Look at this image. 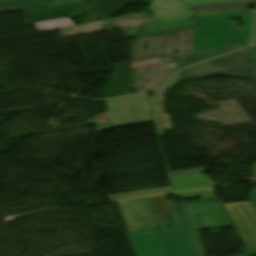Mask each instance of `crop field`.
<instances>
[{"instance_id": "1", "label": "crop field", "mask_w": 256, "mask_h": 256, "mask_svg": "<svg viewBox=\"0 0 256 256\" xmlns=\"http://www.w3.org/2000/svg\"><path fill=\"white\" fill-rule=\"evenodd\" d=\"M178 206L183 225L126 233L136 256H198L183 230L231 226L219 201Z\"/></svg>"}, {"instance_id": "2", "label": "crop field", "mask_w": 256, "mask_h": 256, "mask_svg": "<svg viewBox=\"0 0 256 256\" xmlns=\"http://www.w3.org/2000/svg\"><path fill=\"white\" fill-rule=\"evenodd\" d=\"M230 18H243L235 28ZM203 27L194 29L193 52L249 43L252 11L198 17Z\"/></svg>"}, {"instance_id": "3", "label": "crop field", "mask_w": 256, "mask_h": 256, "mask_svg": "<svg viewBox=\"0 0 256 256\" xmlns=\"http://www.w3.org/2000/svg\"><path fill=\"white\" fill-rule=\"evenodd\" d=\"M192 40L193 29L135 38L132 41L131 62L190 53ZM147 41L148 47L144 50Z\"/></svg>"}, {"instance_id": "4", "label": "crop field", "mask_w": 256, "mask_h": 256, "mask_svg": "<svg viewBox=\"0 0 256 256\" xmlns=\"http://www.w3.org/2000/svg\"><path fill=\"white\" fill-rule=\"evenodd\" d=\"M224 74L233 77H248L253 74V49L239 51L213 61L186 69L177 75L183 79Z\"/></svg>"}, {"instance_id": "5", "label": "crop field", "mask_w": 256, "mask_h": 256, "mask_svg": "<svg viewBox=\"0 0 256 256\" xmlns=\"http://www.w3.org/2000/svg\"><path fill=\"white\" fill-rule=\"evenodd\" d=\"M149 94L107 101L111 121L101 130L151 122L152 116L147 98Z\"/></svg>"}, {"instance_id": "6", "label": "crop field", "mask_w": 256, "mask_h": 256, "mask_svg": "<svg viewBox=\"0 0 256 256\" xmlns=\"http://www.w3.org/2000/svg\"><path fill=\"white\" fill-rule=\"evenodd\" d=\"M128 232L157 228L144 198L118 202Z\"/></svg>"}, {"instance_id": "7", "label": "crop field", "mask_w": 256, "mask_h": 256, "mask_svg": "<svg viewBox=\"0 0 256 256\" xmlns=\"http://www.w3.org/2000/svg\"><path fill=\"white\" fill-rule=\"evenodd\" d=\"M149 8L157 22L194 16L185 0H153Z\"/></svg>"}, {"instance_id": "8", "label": "crop field", "mask_w": 256, "mask_h": 256, "mask_svg": "<svg viewBox=\"0 0 256 256\" xmlns=\"http://www.w3.org/2000/svg\"><path fill=\"white\" fill-rule=\"evenodd\" d=\"M158 228L178 225L179 219L174 202H168L167 196L145 198ZM169 214L173 224L170 223Z\"/></svg>"}, {"instance_id": "9", "label": "crop field", "mask_w": 256, "mask_h": 256, "mask_svg": "<svg viewBox=\"0 0 256 256\" xmlns=\"http://www.w3.org/2000/svg\"><path fill=\"white\" fill-rule=\"evenodd\" d=\"M255 3L254 0H238L217 3L189 5L195 16L248 11Z\"/></svg>"}, {"instance_id": "10", "label": "crop field", "mask_w": 256, "mask_h": 256, "mask_svg": "<svg viewBox=\"0 0 256 256\" xmlns=\"http://www.w3.org/2000/svg\"><path fill=\"white\" fill-rule=\"evenodd\" d=\"M179 81L180 79L174 78L164 88H162L158 93L149 99L159 137H165L163 130L172 129L169 114L163 113V94L166 90L171 89Z\"/></svg>"}, {"instance_id": "11", "label": "crop field", "mask_w": 256, "mask_h": 256, "mask_svg": "<svg viewBox=\"0 0 256 256\" xmlns=\"http://www.w3.org/2000/svg\"><path fill=\"white\" fill-rule=\"evenodd\" d=\"M195 26H200V25L198 24V22L195 20L194 17L185 18V19H179V20H173V21H167V22H161V23L143 25L140 27L139 34L129 35L126 37L130 38V37L151 35V34H157V33H162V32L171 31V30L185 29V28H190Z\"/></svg>"}, {"instance_id": "12", "label": "crop field", "mask_w": 256, "mask_h": 256, "mask_svg": "<svg viewBox=\"0 0 256 256\" xmlns=\"http://www.w3.org/2000/svg\"><path fill=\"white\" fill-rule=\"evenodd\" d=\"M170 179L174 192L216 187L215 183L208 180L207 175L202 173L173 177Z\"/></svg>"}, {"instance_id": "13", "label": "crop field", "mask_w": 256, "mask_h": 256, "mask_svg": "<svg viewBox=\"0 0 256 256\" xmlns=\"http://www.w3.org/2000/svg\"><path fill=\"white\" fill-rule=\"evenodd\" d=\"M248 45L250 44L184 54L181 56V69L220 56L222 54L246 47Z\"/></svg>"}, {"instance_id": "14", "label": "crop field", "mask_w": 256, "mask_h": 256, "mask_svg": "<svg viewBox=\"0 0 256 256\" xmlns=\"http://www.w3.org/2000/svg\"><path fill=\"white\" fill-rule=\"evenodd\" d=\"M54 1L55 0H29V1H20V2H12V3H3V4H0V13L50 7Z\"/></svg>"}, {"instance_id": "15", "label": "crop field", "mask_w": 256, "mask_h": 256, "mask_svg": "<svg viewBox=\"0 0 256 256\" xmlns=\"http://www.w3.org/2000/svg\"><path fill=\"white\" fill-rule=\"evenodd\" d=\"M188 244L195 243L199 256H206L198 230L184 231ZM242 256H250L242 255Z\"/></svg>"}, {"instance_id": "16", "label": "crop field", "mask_w": 256, "mask_h": 256, "mask_svg": "<svg viewBox=\"0 0 256 256\" xmlns=\"http://www.w3.org/2000/svg\"><path fill=\"white\" fill-rule=\"evenodd\" d=\"M35 25L39 29V31H42V30L72 26L74 24L71 22V20L69 18H66V19L36 23Z\"/></svg>"}, {"instance_id": "17", "label": "crop field", "mask_w": 256, "mask_h": 256, "mask_svg": "<svg viewBox=\"0 0 256 256\" xmlns=\"http://www.w3.org/2000/svg\"><path fill=\"white\" fill-rule=\"evenodd\" d=\"M203 192H209V193L181 196V195H186V194L203 193ZM174 195L175 196H180L181 199L200 196L201 201H203V199H207V198H211V200L215 199L212 190L184 192V193H177V194H174ZM195 202H197V201H195ZM183 203H189V202H183ZM177 204H181V203H177Z\"/></svg>"}, {"instance_id": "18", "label": "crop field", "mask_w": 256, "mask_h": 256, "mask_svg": "<svg viewBox=\"0 0 256 256\" xmlns=\"http://www.w3.org/2000/svg\"><path fill=\"white\" fill-rule=\"evenodd\" d=\"M158 63H159V59L149 60V61H141V62H134V63H131V69L138 68V67L149 66V65H154V64H158Z\"/></svg>"}, {"instance_id": "19", "label": "crop field", "mask_w": 256, "mask_h": 256, "mask_svg": "<svg viewBox=\"0 0 256 256\" xmlns=\"http://www.w3.org/2000/svg\"><path fill=\"white\" fill-rule=\"evenodd\" d=\"M197 172H205V170L203 168H199V169L171 172L168 174L170 177H173V176H179V175H185V174H191V173H197Z\"/></svg>"}, {"instance_id": "20", "label": "crop field", "mask_w": 256, "mask_h": 256, "mask_svg": "<svg viewBox=\"0 0 256 256\" xmlns=\"http://www.w3.org/2000/svg\"><path fill=\"white\" fill-rule=\"evenodd\" d=\"M12 1H20V0H0V3H3V2H12ZM67 0H56L52 6L50 8H53V7H59V6H63V4L66 2Z\"/></svg>"}, {"instance_id": "21", "label": "crop field", "mask_w": 256, "mask_h": 256, "mask_svg": "<svg viewBox=\"0 0 256 256\" xmlns=\"http://www.w3.org/2000/svg\"><path fill=\"white\" fill-rule=\"evenodd\" d=\"M217 1H227V0H186L188 5L195 4V3H206V2H217Z\"/></svg>"}, {"instance_id": "22", "label": "crop field", "mask_w": 256, "mask_h": 256, "mask_svg": "<svg viewBox=\"0 0 256 256\" xmlns=\"http://www.w3.org/2000/svg\"><path fill=\"white\" fill-rule=\"evenodd\" d=\"M250 197H251L250 200H251L253 206H254L255 209H256V190H255L254 192H252V194H251Z\"/></svg>"}, {"instance_id": "23", "label": "crop field", "mask_w": 256, "mask_h": 256, "mask_svg": "<svg viewBox=\"0 0 256 256\" xmlns=\"http://www.w3.org/2000/svg\"><path fill=\"white\" fill-rule=\"evenodd\" d=\"M86 0H68L65 5H71V4H77V3H82L85 2ZM64 5V6H65Z\"/></svg>"}, {"instance_id": "24", "label": "crop field", "mask_w": 256, "mask_h": 256, "mask_svg": "<svg viewBox=\"0 0 256 256\" xmlns=\"http://www.w3.org/2000/svg\"><path fill=\"white\" fill-rule=\"evenodd\" d=\"M254 45H256V33L254 34Z\"/></svg>"}, {"instance_id": "25", "label": "crop field", "mask_w": 256, "mask_h": 256, "mask_svg": "<svg viewBox=\"0 0 256 256\" xmlns=\"http://www.w3.org/2000/svg\"><path fill=\"white\" fill-rule=\"evenodd\" d=\"M255 32H256V27H255Z\"/></svg>"}, {"instance_id": "26", "label": "crop field", "mask_w": 256, "mask_h": 256, "mask_svg": "<svg viewBox=\"0 0 256 256\" xmlns=\"http://www.w3.org/2000/svg\"><path fill=\"white\" fill-rule=\"evenodd\" d=\"M256 48V46H254ZM256 78V77H255Z\"/></svg>"}, {"instance_id": "27", "label": "crop field", "mask_w": 256, "mask_h": 256, "mask_svg": "<svg viewBox=\"0 0 256 256\" xmlns=\"http://www.w3.org/2000/svg\"><path fill=\"white\" fill-rule=\"evenodd\" d=\"M255 168H256V165H255Z\"/></svg>"}]
</instances>
